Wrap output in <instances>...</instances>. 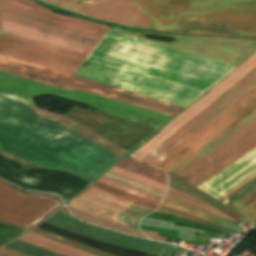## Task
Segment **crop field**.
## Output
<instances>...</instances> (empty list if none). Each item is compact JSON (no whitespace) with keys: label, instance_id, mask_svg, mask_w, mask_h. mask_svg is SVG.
<instances>
[{"label":"crop field","instance_id":"8a807250","mask_svg":"<svg viewBox=\"0 0 256 256\" xmlns=\"http://www.w3.org/2000/svg\"><path fill=\"white\" fill-rule=\"evenodd\" d=\"M254 173H256V147L197 188L217 199L218 197L225 194L226 191L240 184ZM168 176L170 178V187L182 191L200 201H203L236 220H240L243 217L228 207L222 205L221 203L256 179L254 178L222 200H216L201 190L197 189L196 187L192 186L191 184L187 183L186 181L170 173H168Z\"/></svg>","mask_w":256,"mask_h":256},{"label":"crop field","instance_id":"ac0d7876","mask_svg":"<svg viewBox=\"0 0 256 256\" xmlns=\"http://www.w3.org/2000/svg\"><path fill=\"white\" fill-rule=\"evenodd\" d=\"M254 86L256 67L141 161L156 166Z\"/></svg>","mask_w":256,"mask_h":256},{"label":"crop field","instance_id":"34b2d1b8","mask_svg":"<svg viewBox=\"0 0 256 256\" xmlns=\"http://www.w3.org/2000/svg\"><path fill=\"white\" fill-rule=\"evenodd\" d=\"M255 146L256 118L178 177L197 187Z\"/></svg>","mask_w":256,"mask_h":256},{"label":"crop field","instance_id":"412701ff","mask_svg":"<svg viewBox=\"0 0 256 256\" xmlns=\"http://www.w3.org/2000/svg\"><path fill=\"white\" fill-rule=\"evenodd\" d=\"M68 205L117 224L131 202L90 187L86 192L70 201ZM152 211L153 209L132 203L118 224L138 229V219Z\"/></svg>","mask_w":256,"mask_h":256},{"label":"crop field","instance_id":"f4fd0767","mask_svg":"<svg viewBox=\"0 0 256 256\" xmlns=\"http://www.w3.org/2000/svg\"><path fill=\"white\" fill-rule=\"evenodd\" d=\"M254 104H256V87L250 90L229 109L175 150L157 167L163 169L164 172H169L186 157L221 133Z\"/></svg>","mask_w":256,"mask_h":256},{"label":"crop field","instance_id":"dd49c442","mask_svg":"<svg viewBox=\"0 0 256 256\" xmlns=\"http://www.w3.org/2000/svg\"><path fill=\"white\" fill-rule=\"evenodd\" d=\"M256 66V51L248 57L237 69H235L229 76H227L218 85L213 87L206 95L192 104L183 113L171 121L146 144L134 151L131 156L137 160L145 157L157 145L174 133L178 128L190 120L193 116L204 109L215 98L226 91L229 87L235 84L238 80L244 77L253 67Z\"/></svg>","mask_w":256,"mask_h":256},{"label":"crop field","instance_id":"e52e79f7","mask_svg":"<svg viewBox=\"0 0 256 256\" xmlns=\"http://www.w3.org/2000/svg\"><path fill=\"white\" fill-rule=\"evenodd\" d=\"M254 117H256V105L250 108L244 115H242L238 120H236L232 125H230L226 130H224L217 137L212 139L206 145L201 147L187 159H185L180 165H178L171 173L175 175L181 174L184 170L190 167L192 164L200 160L202 157L207 155L221 143L226 141L228 138L233 136L238 130H240L245 124L251 121Z\"/></svg>","mask_w":256,"mask_h":256},{"label":"crop field","instance_id":"d8731c3e","mask_svg":"<svg viewBox=\"0 0 256 256\" xmlns=\"http://www.w3.org/2000/svg\"><path fill=\"white\" fill-rule=\"evenodd\" d=\"M19 240L31 243L33 245L42 247L44 249L56 252V253L64 255V256H94L89 253L80 251L78 249L69 247L67 245L58 243L56 241L47 239L45 237L36 235L31 232L25 234L24 236L19 238Z\"/></svg>","mask_w":256,"mask_h":256},{"label":"crop field","instance_id":"5a996713","mask_svg":"<svg viewBox=\"0 0 256 256\" xmlns=\"http://www.w3.org/2000/svg\"><path fill=\"white\" fill-rule=\"evenodd\" d=\"M115 167L139 174L167 186V176L165 174L147 165L137 163L127 157L115 165Z\"/></svg>","mask_w":256,"mask_h":256},{"label":"crop field","instance_id":"3316defc","mask_svg":"<svg viewBox=\"0 0 256 256\" xmlns=\"http://www.w3.org/2000/svg\"><path fill=\"white\" fill-rule=\"evenodd\" d=\"M232 203L238 213L252 222L256 216V187Z\"/></svg>","mask_w":256,"mask_h":256},{"label":"crop field","instance_id":"28ad6ade","mask_svg":"<svg viewBox=\"0 0 256 256\" xmlns=\"http://www.w3.org/2000/svg\"><path fill=\"white\" fill-rule=\"evenodd\" d=\"M160 207H164V208L182 212V213H185L188 215H192V216L198 217L200 219H203V220H206V221L212 222V223H214L217 220V218L212 217L206 213H203L197 209L191 208L189 206L183 205L181 203L175 202V201L167 199L165 197L163 198V200L160 204Z\"/></svg>","mask_w":256,"mask_h":256},{"label":"crop field","instance_id":"d1516ede","mask_svg":"<svg viewBox=\"0 0 256 256\" xmlns=\"http://www.w3.org/2000/svg\"><path fill=\"white\" fill-rule=\"evenodd\" d=\"M92 187L98 188L100 190H103L105 192H108L110 194L118 196V197L123 198L125 200L131 201V202H134V203H137V204H141V205L153 208V209L157 208V206H158L157 204H155L153 202H150V201H148L144 198H141V197L135 196L133 194H130V193L112 188L110 186H107V185H105L103 183H100V182H97V181L94 182Z\"/></svg>","mask_w":256,"mask_h":256},{"label":"crop field","instance_id":"22f410ed","mask_svg":"<svg viewBox=\"0 0 256 256\" xmlns=\"http://www.w3.org/2000/svg\"><path fill=\"white\" fill-rule=\"evenodd\" d=\"M3 247L32 256H60L31 244L15 240Z\"/></svg>","mask_w":256,"mask_h":256},{"label":"crop field","instance_id":"cbeb9de0","mask_svg":"<svg viewBox=\"0 0 256 256\" xmlns=\"http://www.w3.org/2000/svg\"><path fill=\"white\" fill-rule=\"evenodd\" d=\"M69 210L72 212V214L74 216H76L78 218H81V219H83V220H85L87 222L98 224V225L105 226V227H108V228H112V229H115V230H118V231H122V232H125V233H129V234L145 237L138 230H134V229L118 226V225H115V224H112V223H109V222H105V221L99 220L97 218H94L92 216H89L87 214H84L82 212H79L77 210L71 209V208H69Z\"/></svg>","mask_w":256,"mask_h":256},{"label":"crop field","instance_id":"5142ce71","mask_svg":"<svg viewBox=\"0 0 256 256\" xmlns=\"http://www.w3.org/2000/svg\"><path fill=\"white\" fill-rule=\"evenodd\" d=\"M103 177L110 178L112 180H115L117 182L123 183L125 185L131 186L133 188L139 189L143 192L152 194V195L160 197V198L163 195V192H161V191H158L156 189H153V188H150L148 186L142 185L140 183L134 182V181H132L130 179H127V178H125L123 176H120V175H116V174L107 172V173L103 174Z\"/></svg>","mask_w":256,"mask_h":256},{"label":"crop field","instance_id":"d9b57169","mask_svg":"<svg viewBox=\"0 0 256 256\" xmlns=\"http://www.w3.org/2000/svg\"><path fill=\"white\" fill-rule=\"evenodd\" d=\"M109 172H113V173H116V174L123 175V176H125L127 178H130V179L134 180V181H137V182H140L142 184L148 185L150 187L156 188V189L161 190L163 192L166 189V186H164V185H161L159 183H156V182H153L151 180H148V179H146L144 177H141V176H138V175H135V174L123 171V170L115 168V167L110 169Z\"/></svg>","mask_w":256,"mask_h":256},{"label":"crop field","instance_id":"733c2abd","mask_svg":"<svg viewBox=\"0 0 256 256\" xmlns=\"http://www.w3.org/2000/svg\"><path fill=\"white\" fill-rule=\"evenodd\" d=\"M98 181L103 182V183L108 184V185H111V186H114V187H116V188L122 189V190H124V191L133 193V194H135V195H138V196L147 198V199L152 200V201H155V202H157V203H159V201H160V198H157V197H154V196H152V195L143 193V192H141V191H139V190H136V189H133V188H131V187L122 185V184H120V183L114 182V181L109 180V179H107V178L101 177V178L98 179Z\"/></svg>","mask_w":256,"mask_h":256},{"label":"crop field","instance_id":"4a817a6b","mask_svg":"<svg viewBox=\"0 0 256 256\" xmlns=\"http://www.w3.org/2000/svg\"><path fill=\"white\" fill-rule=\"evenodd\" d=\"M167 192H170V193H172V194L178 195V196H180V197H182V198H185V199H187V200H189V201H191V202H193V203H195V204H197V205H199V206H202V207H204V208H206V209H209V210H211V211H213V212H216V213H218L219 215H221V216H223V217H225V218H227V219H229V220H231V221H233V222H235V223H237V224L240 223V222H237L236 220H234V219H232V218H230V217H228V216L222 214V213L219 212L218 210H216V209H214V208H212V207H210V206H208V205H206V204H204V203H202V202H200V201H198V200H196V199H194V198H192V197H190V196H188V195H186V194H184V193H181V192H179V191H177V190H174V189H172V188H170V187H168Z\"/></svg>","mask_w":256,"mask_h":256},{"label":"crop field","instance_id":"bc2a9ffb","mask_svg":"<svg viewBox=\"0 0 256 256\" xmlns=\"http://www.w3.org/2000/svg\"><path fill=\"white\" fill-rule=\"evenodd\" d=\"M156 212H160V213H164V214H168V215H172V216H176V217H180V218L196 221V222H199V223H202V224H205V225H209V226H213V227H217V228L221 227V226L218 227V226H216L214 224L205 222L203 220L197 219V218L192 217V216H188V215H185V214H181V213H178V212H175V211H171V210H168V209H164V208H160V207L156 210ZM220 229L224 230L223 228H220Z\"/></svg>","mask_w":256,"mask_h":256},{"label":"crop field","instance_id":"214f88e0","mask_svg":"<svg viewBox=\"0 0 256 256\" xmlns=\"http://www.w3.org/2000/svg\"><path fill=\"white\" fill-rule=\"evenodd\" d=\"M164 196H165V197H168V198H170V199H173V200H176V201L185 203V204H187V205H189V206H192V207L197 208V209H199V210H201V211H204V212H206V213H208V214H210V215H213V216H215V217H218V218H220V219H223V220H225V221H228L227 219H225V218H223V217H221V216H219V215H217V214H215V213H213V212H211V211H209V210H206V209H204V208H202V207H199V206H197V205H195V204H193V203H191V202H189V201H187V200H185V199H182V198H180V197H178V196L172 195V194L167 193V192L165 193ZM228 222H230V221H228ZM230 223H232V222H230ZM232 224H234V223H232ZM234 225H236V224H234Z\"/></svg>","mask_w":256,"mask_h":256},{"label":"crop field","instance_id":"92a150f3","mask_svg":"<svg viewBox=\"0 0 256 256\" xmlns=\"http://www.w3.org/2000/svg\"><path fill=\"white\" fill-rule=\"evenodd\" d=\"M34 230H37V231H39V232H42V233H45V234L51 235V236H53V237H56V238L62 239V240H64V241H67V242H70V243L76 244V245H78V246H81V247L87 248V249H89V250H92V251H95V252L101 253V254L106 255V256H114V255H111V254H108V253L102 252V251H100V250H97V249H94V248H91V247H88V246L82 245V244H80V243H77V242L71 241V240H69V239L63 238V237H61V236H58V235H56V234H53V233H51V232L45 231V230L40 229V228H37V227H36V228H34Z\"/></svg>","mask_w":256,"mask_h":256},{"label":"crop field","instance_id":"dafd665d","mask_svg":"<svg viewBox=\"0 0 256 256\" xmlns=\"http://www.w3.org/2000/svg\"><path fill=\"white\" fill-rule=\"evenodd\" d=\"M31 232H34V233H36V234H39V235L45 236V237H47V238H50V239L56 240V241H58V242H61V243L67 244V245H69V246H72V247L78 248V249H80V250H83V251L89 252V253L94 254V255H97V256H103V255H101V254H98V253H95V252L89 251V250H87V249H84V248L78 247V246H76V245H73V244H70V243L64 242V241H62V240H59V239L53 238V237H51V236H48V235H45V234L39 233V232H37V231L32 230Z\"/></svg>","mask_w":256,"mask_h":256},{"label":"crop field","instance_id":"00972430","mask_svg":"<svg viewBox=\"0 0 256 256\" xmlns=\"http://www.w3.org/2000/svg\"><path fill=\"white\" fill-rule=\"evenodd\" d=\"M0 256H26V255H22L2 247L0 248Z\"/></svg>","mask_w":256,"mask_h":256},{"label":"crop field","instance_id":"a9b5d70f","mask_svg":"<svg viewBox=\"0 0 256 256\" xmlns=\"http://www.w3.org/2000/svg\"><path fill=\"white\" fill-rule=\"evenodd\" d=\"M142 232H144L147 236H149L150 238H153V239H157V240H160V241H166V237H163V236H159L157 235V233L155 232H149V231H145V230H141Z\"/></svg>","mask_w":256,"mask_h":256},{"label":"crop field","instance_id":"4177f3b9","mask_svg":"<svg viewBox=\"0 0 256 256\" xmlns=\"http://www.w3.org/2000/svg\"><path fill=\"white\" fill-rule=\"evenodd\" d=\"M255 176H256V174L253 175V176H252L251 178H249L248 180H246V181H244L243 183H241L240 185H238L237 187H235L234 189L228 191V192H227V195L230 194V193H231L232 191H234L235 189H237L238 187H240V186L244 185L245 183H247L249 180H251V179L254 178Z\"/></svg>","mask_w":256,"mask_h":256}]
</instances>
